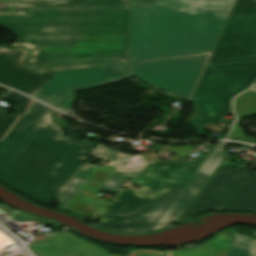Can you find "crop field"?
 <instances>
[{
  "label": "crop field",
  "mask_w": 256,
  "mask_h": 256,
  "mask_svg": "<svg viewBox=\"0 0 256 256\" xmlns=\"http://www.w3.org/2000/svg\"><path fill=\"white\" fill-rule=\"evenodd\" d=\"M4 9L32 11L31 17L0 15V23L21 36L13 46L32 50L27 69L131 62L129 0H19Z\"/></svg>",
  "instance_id": "1"
},
{
  "label": "crop field",
  "mask_w": 256,
  "mask_h": 256,
  "mask_svg": "<svg viewBox=\"0 0 256 256\" xmlns=\"http://www.w3.org/2000/svg\"><path fill=\"white\" fill-rule=\"evenodd\" d=\"M52 110L34 101L0 141V181L46 206L97 146L65 137Z\"/></svg>",
  "instance_id": "2"
},
{
  "label": "crop field",
  "mask_w": 256,
  "mask_h": 256,
  "mask_svg": "<svg viewBox=\"0 0 256 256\" xmlns=\"http://www.w3.org/2000/svg\"><path fill=\"white\" fill-rule=\"evenodd\" d=\"M234 0H130L132 62L209 54Z\"/></svg>",
  "instance_id": "3"
},
{
  "label": "crop field",
  "mask_w": 256,
  "mask_h": 256,
  "mask_svg": "<svg viewBox=\"0 0 256 256\" xmlns=\"http://www.w3.org/2000/svg\"><path fill=\"white\" fill-rule=\"evenodd\" d=\"M256 80V62L207 67L191 101L199 115L190 121L193 127L213 122L231 111V98Z\"/></svg>",
  "instance_id": "4"
},
{
  "label": "crop field",
  "mask_w": 256,
  "mask_h": 256,
  "mask_svg": "<svg viewBox=\"0 0 256 256\" xmlns=\"http://www.w3.org/2000/svg\"><path fill=\"white\" fill-rule=\"evenodd\" d=\"M132 77L131 64L118 61L103 62L85 70L56 73L36 99L44 101L69 114L75 90L97 87Z\"/></svg>",
  "instance_id": "5"
},
{
  "label": "crop field",
  "mask_w": 256,
  "mask_h": 256,
  "mask_svg": "<svg viewBox=\"0 0 256 256\" xmlns=\"http://www.w3.org/2000/svg\"><path fill=\"white\" fill-rule=\"evenodd\" d=\"M177 163L152 162L131 180L132 183L142 184L141 187L137 191L123 190L97 227L125 233ZM141 189L149 193L139 194Z\"/></svg>",
  "instance_id": "6"
},
{
  "label": "crop field",
  "mask_w": 256,
  "mask_h": 256,
  "mask_svg": "<svg viewBox=\"0 0 256 256\" xmlns=\"http://www.w3.org/2000/svg\"><path fill=\"white\" fill-rule=\"evenodd\" d=\"M95 156L103 157L111 160L109 165L117 167L111 177L108 179L102 192L118 194L124 184L123 180L130 178L134 174L140 172L148 163L144 155L129 156L116 151L109 150L108 148L100 145L95 152ZM96 166L84 164L82 168L67 184L66 188L60 193L59 200L62 203L58 209L74 210L75 213L81 215L83 211L66 207L92 173L96 170Z\"/></svg>",
  "instance_id": "7"
},
{
  "label": "crop field",
  "mask_w": 256,
  "mask_h": 256,
  "mask_svg": "<svg viewBox=\"0 0 256 256\" xmlns=\"http://www.w3.org/2000/svg\"><path fill=\"white\" fill-rule=\"evenodd\" d=\"M206 157L207 156L201 154L199 158L196 159L193 167H190L191 164L189 163L179 162L126 234L149 232Z\"/></svg>",
  "instance_id": "8"
},
{
  "label": "crop field",
  "mask_w": 256,
  "mask_h": 256,
  "mask_svg": "<svg viewBox=\"0 0 256 256\" xmlns=\"http://www.w3.org/2000/svg\"><path fill=\"white\" fill-rule=\"evenodd\" d=\"M208 57L132 64L133 71L191 94Z\"/></svg>",
  "instance_id": "9"
},
{
  "label": "crop field",
  "mask_w": 256,
  "mask_h": 256,
  "mask_svg": "<svg viewBox=\"0 0 256 256\" xmlns=\"http://www.w3.org/2000/svg\"><path fill=\"white\" fill-rule=\"evenodd\" d=\"M245 172L221 165L177 222L182 223L200 211H221L248 178L243 175Z\"/></svg>",
  "instance_id": "10"
},
{
  "label": "crop field",
  "mask_w": 256,
  "mask_h": 256,
  "mask_svg": "<svg viewBox=\"0 0 256 256\" xmlns=\"http://www.w3.org/2000/svg\"><path fill=\"white\" fill-rule=\"evenodd\" d=\"M208 65L256 60V20L227 21Z\"/></svg>",
  "instance_id": "11"
},
{
  "label": "crop field",
  "mask_w": 256,
  "mask_h": 256,
  "mask_svg": "<svg viewBox=\"0 0 256 256\" xmlns=\"http://www.w3.org/2000/svg\"><path fill=\"white\" fill-rule=\"evenodd\" d=\"M234 143L248 147L247 144L236 142H220L209 154L206 160L190 178L178 196L167 208L162 217L154 225L151 230L163 229L170 225L172 221H176L193 197L201 189L227 152L224 150L227 144Z\"/></svg>",
  "instance_id": "12"
},
{
  "label": "crop field",
  "mask_w": 256,
  "mask_h": 256,
  "mask_svg": "<svg viewBox=\"0 0 256 256\" xmlns=\"http://www.w3.org/2000/svg\"><path fill=\"white\" fill-rule=\"evenodd\" d=\"M28 51L23 48L7 49L0 46V83L34 97L53 73L36 74L24 70Z\"/></svg>",
  "instance_id": "13"
},
{
  "label": "crop field",
  "mask_w": 256,
  "mask_h": 256,
  "mask_svg": "<svg viewBox=\"0 0 256 256\" xmlns=\"http://www.w3.org/2000/svg\"><path fill=\"white\" fill-rule=\"evenodd\" d=\"M36 256H113L103 249L71 236L66 231L29 245ZM130 256H162V252L131 250Z\"/></svg>",
  "instance_id": "14"
},
{
  "label": "crop field",
  "mask_w": 256,
  "mask_h": 256,
  "mask_svg": "<svg viewBox=\"0 0 256 256\" xmlns=\"http://www.w3.org/2000/svg\"><path fill=\"white\" fill-rule=\"evenodd\" d=\"M233 229L221 233L205 245L182 252H163V256H223L236 234Z\"/></svg>",
  "instance_id": "15"
},
{
  "label": "crop field",
  "mask_w": 256,
  "mask_h": 256,
  "mask_svg": "<svg viewBox=\"0 0 256 256\" xmlns=\"http://www.w3.org/2000/svg\"><path fill=\"white\" fill-rule=\"evenodd\" d=\"M226 208L256 211V173H252Z\"/></svg>",
  "instance_id": "16"
},
{
  "label": "crop field",
  "mask_w": 256,
  "mask_h": 256,
  "mask_svg": "<svg viewBox=\"0 0 256 256\" xmlns=\"http://www.w3.org/2000/svg\"><path fill=\"white\" fill-rule=\"evenodd\" d=\"M1 90L8 91L4 87L0 86ZM3 100H7L15 103V111L18 113L15 117L7 115L9 111L0 110V137L7 131V129L13 124V122L18 118L24 108L32 101V99L22 96L14 91L8 93Z\"/></svg>",
  "instance_id": "17"
},
{
  "label": "crop field",
  "mask_w": 256,
  "mask_h": 256,
  "mask_svg": "<svg viewBox=\"0 0 256 256\" xmlns=\"http://www.w3.org/2000/svg\"><path fill=\"white\" fill-rule=\"evenodd\" d=\"M224 256H256V240L236 234Z\"/></svg>",
  "instance_id": "18"
},
{
  "label": "crop field",
  "mask_w": 256,
  "mask_h": 256,
  "mask_svg": "<svg viewBox=\"0 0 256 256\" xmlns=\"http://www.w3.org/2000/svg\"><path fill=\"white\" fill-rule=\"evenodd\" d=\"M256 19V0H237L228 20Z\"/></svg>",
  "instance_id": "19"
},
{
  "label": "crop field",
  "mask_w": 256,
  "mask_h": 256,
  "mask_svg": "<svg viewBox=\"0 0 256 256\" xmlns=\"http://www.w3.org/2000/svg\"><path fill=\"white\" fill-rule=\"evenodd\" d=\"M133 76H135V77H137V78H139V79H141L142 81H144L145 83H147V84H149V85H151V86H154V87H156V88H159V89H161V90H164V91H166V92H168V93H170V94H172V95H174V96H176V97H178V98H180V99H182V100H184V101H188V99H189V95H187V94H184V93H182V92H180V91H177V90H175V89H172V88H170V87H168V86H165V85H163V84H160V83H158V82H155V81H153V80H151V79H148V78H146V77H143V76H141V75H139V74H136V73H134L133 72ZM138 79V80H139ZM140 80V81H141ZM163 91V92H164Z\"/></svg>",
  "instance_id": "20"
},
{
  "label": "crop field",
  "mask_w": 256,
  "mask_h": 256,
  "mask_svg": "<svg viewBox=\"0 0 256 256\" xmlns=\"http://www.w3.org/2000/svg\"><path fill=\"white\" fill-rule=\"evenodd\" d=\"M17 243L12 237L0 229V256L8 253L4 249Z\"/></svg>",
  "instance_id": "21"
},
{
  "label": "crop field",
  "mask_w": 256,
  "mask_h": 256,
  "mask_svg": "<svg viewBox=\"0 0 256 256\" xmlns=\"http://www.w3.org/2000/svg\"><path fill=\"white\" fill-rule=\"evenodd\" d=\"M168 149L178 153L179 155H187L191 151H193L191 146H183V147H167Z\"/></svg>",
  "instance_id": "22"
},
{
  "label": "crop field",
  "mask_w": 256,
  "mask_h": 256,
  "mask_svg": "<svg viewBox=\"0 0 256 256\" xmlns=\"http://www.w3.org/2000/svg\"><path fill=\"white\" fill-rule=\"evenodd\" d=\"M7 256H27L26 253H19V254H9Z\"/></svg>",
  "instance_id": "23"
},
{
  "label": "crop field",
  "mask_w": 256,
  "mask_h": 256,
  "mask_svg": "<svg viewBox=\"0 0 256 256\" xmlns=\"http://www.w3.org/2000/svg\"><path fill=\"white\" fill-rule=\"evenodd\" d=\"M140 193H142V194H147L148 192H145V191H142V190H141Z\"/></svg>",
  "instance_id": "24"
}]
</instances>
